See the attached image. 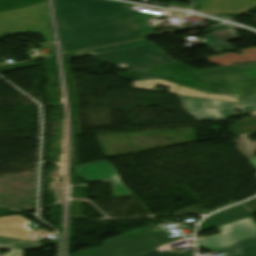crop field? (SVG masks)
Instances as JSON below:
<instances>
[{
	"label": "crop field",
	"mask_w": 256,
	"mask_h": 256,
	"mask_svg": "<svg viewBox=\"0 0 256 256\" xmlns=\"http://www.w3.org/2000/svg\"><path fill=\"white\" fill-rule=\"evenodd\" d=\"M192 72L199 75L194 76ZM118 75L130 80L160 78L206 94L232 95L238 99L256 96V62L205 70L173 63Z\"/></svg>",
	"instance_id": "ac0d7876"
},
{
	"label": "crop field",
	"mask_w": 256,
	"mask_h": 256,
	"mask_svg": "<svg viewBox=\"0 0 256 256\" xmlns=\"http://www.w3.org/2000/svg\"><path fill=\"white\" fill-rule=\"evenodd\" d=\"M233 27L225 26V25H217L215 27H207L203 33H208V32H214V31H219V30H225V29H231Z\"/></svg>",
	"instance_id": "a9b5d70f"
},
{
	"label": "crop field",
	"mask_w": 256,
	"mask_h": 256,
	"mask_svg": "<svg viewBox=\"0 0 256 256\" xmlns=\"http://www.w3.org/2000/svg\"><path fill=\"white\" fill-rule=\"evenodd\" d=\"M141 45L142 44L140 43V41H136V42L118 44L116 46H109V47L97 48V49H92V50H86L85 52L88 53L89 55H93V54L116 51V50H121V49H125V48L141 46Z\"/></svg>",
	"instance_id": "bc2a9ffb"
},
{
	"label": "crop field",
	"mask_w": 256,
	"mask_h": 256,
	"mask_svg": "<svg viewBox=\"0 0 256 256\" xmlns=\"http://www.w3.org/2000/svg\"><path fill=\"white\" fill-rule=\"evenodd\" d=\"M216 252H225L226 255L224 256H256V237L217 250Z\"/></svg>",
	"instance_id": "22f410ed"
},
{
	"label": "crop field",
	"mask_w": 256,
	"mask_h": 256,
	"mask_svg": "<svg viewBox=\"0 0 256 256\" xmlns=\"http://www.w3.org/2000/svg\"><path fill=\"white\" fill-rule=\"evenodd\" d=\"M239 108L242 114L256 111V97L249 100L241 101Z\"/></svg>",
	"instance_id": "dafd665d"
},
{
	"label": "crop field",
	"mask_w": 256,
	"mask_h": 256,
	"mask_svg": "<svg viewBox=\"0 0 256 256\" xmlns=\"http://www.w3.org/2000/svg\"><path fill=\"white\" fill-rule=\"evenodd\" d=\"M250 115L255 116V115H256V112H254V113H250Z\"/></svg>",
	"instance_id": "bd1437ed"
},
{
	"label": "crop field",
	"mask_w": 256,
	"mask_h": 256,
	"mask_svg": "<svg viewBox=\"0 0 256 256\" xmlns=\"http://www.w3.org/2000/svg\"><path fill=\"white\" fill-rule=\"evenodd\" d=\"M44 56H45V54H41V55L33 56L32 58L36 59V58H40V57H44Z\"/></svg>",
	"instance_id": "750c4746"
},
{
	"label": "crop field",
	"mask_w": 256,
	"mask_h": 256,
	"mask_svg": "<svg viewBox=\"0 0 256 256\" xmlns=\"http://www.w3.org/2000/svg\"><path fill=\"white\" fill-rule=\"evenodd\" d=\"M255 133L256 132L239 135V139L235 140L237 149L247 160L256 158V141H250L249 139V136Z\"/></svg>",
	"instance_id": "cbeb9de0"
},
{
	"label": "crop field",
	"mask_w": 256,
	"mask_h": 256,
	"mask_svg": "<svg viewBox=\"0 0 256 256\" xmlns=\"http://www.w3.org/2000/svg\"><path fill=\"white\" fill-rule=\"evenodd\" d=\"M163 230L149 231L148 229H138L123 236L103 242L104 246L86 250L70 256H137L160 246L158 243H170L183 238V236L165 237ZM147 236L150 239L145 240Z\"/></svg>",
	"instance_id": "34b2d1b8"
},
{
	"label": "crop field",
	"mask_w": 256,
	"mask_h": 256,
	"mask_svg": "<svg viewBox=\"0 0 256 256\" xmlns=\"http://www.w3.org/2000/svg\"><path fill=\"white\" fill-rule=\"evenodd\" d=\"M139 256H194V252L181 254L175 252H158L157 250L153 249Z\"/></svg>",
	"instance_id": "00972430"
},
{
	"label": "crop field",
	"mask_w": 256,
	"mask_h": 256,
	"mask_svg": "<svg viewBox=\"0 0 256 256\" xmlns=\"http://www.w3.org/2000/svg\"><path fill=\"white\" fill-rule=\"evenodd\" d=\"M235 125L231 127L235 135L256 131V117L239 120L234 122Z\"/></svg>",
	"instance_id": "733c2abd"
},
{
	"label": "crop field",
	"mask_w": 256,
	"mask_h": 256,
	"mask_svg": "<svg viewBox=\"0 0 256 256\" xmlns=\"http://www.w3.org/2000/svg\"><path fill=\"white\" fill-rule=\"evenodd\" d=\"M140 41L144 46L94 55L92 57L112 65L119 62L127 63L129 66L123 69L127 72L174 62L156 45H151L147 39Z\"/></svg>",
	"instance_id": "412701ff"
},
{
	"label": "crop field",
	"mask_w": 256,
	"mask_h": 256,
	"mask_svg": "<svg viewBox=\"0 0 256 256\" xmlns=\"http://www.w3.org/2000/svg\"><path fill=\"white\" fill-rule=\"evenodd\" d=\"M157 86L169 87L168 90L174 94H176L178 88L177 84L169 83L159 79L133 81V89L155 90Z\"/></svg>",
	"instance_id": "5142ce71"
},
{
	"label": "crop field",
	"mask_w": 256,
	"mask_h": 256,
	"mask_svg": "<svg viewBox=\"0 0 256 256\" xmlns=\"http://www.w3.org/2000/svg\"><path fill=\"white\" fill-rule=\"evenodd\" d=\"M3 64H9V63H3ZM3 64H0V65H3Z\"/></svg>",
	"instance_id": "1d83c4d3"
},
{
	"label": "crop field",
	"mask_w": 256,
	"mask_h": 256,
	"mask_svg": "<svg viewBox=\"0 0 256 256\" xmlns=\"http://www.w3.org/2000/svg\"><path fill=\"white\" fill-rule=\"evenodd\" d=\"M2 256H22V251L10 250L8 253H6Z\"/></svg>",
	"instance_id": "eef30255"
},
{
	"label": "crop field",
	"mask_w": 256,
	"mask_h": 256,
	"mask_svg": "<svg viewBox=\"0 0 256 256\" xmlns=\"http://www.w3.org/2000/svg\"><path fill=\"white\" fill-rule=\"evenodd\" d=\"M48 12L47 3L0 13V23Z\"/></svg>",
	"instance_id": "d1516ede"
},
{
	"label": "crop field",
	"mask_w": 256,
	"mask_h": 256,
	"mask_svg": "<svg viewBox=\"0 0 256 256\" xmlns=\"http://www.w3.org/2000/svg\"><path fill=\"white\" fill-rule=\"evenodd\" d=\"M129 6L104 1L57 12L62 52L138 38L136 34L152 31L147 19L156 15L131 12Z\"/></svg>",
	"instance_id": "8a807250"
},
{
	"label": "crop field",
	"mask_w": 256,
	"mask_h": 256,
	"mask_svg": "<svg viewBox=\"0 0 256 256\" xmlns=\"http://www.w3.org/2000/svg\"><path fill=\"white\" fill-rule=\"evenodd\" d=\"M184 109L199 121L220 120L235 116L236 104L178 96Z\"/></svg>",
	"instance_id": "dd49c442"
},
{
	"label": "crop field",
	"mask_w": 256,
	"mask_h": 256,
	"mask_svg": "<svg viewBox=\"0 0 256 256\" xmlns=\"http://www.w3.org/2000/svg\"><path fill=\"white\" fill-rule=\"evenodd\" d=\"M177 94L180 95H188V96H196V97H205V98H214V99H222L229 101H238L230 96H217V95H206L198 91L182 88L179 86Z\"/></svg>",
	"instance_id": "214f88e0"
},
{
	"label": "crop field",
	"mask_w": 256,
	"mask_h": 256,
	"mask_svg": "<svg viewBox=\"0 0 256 256\" xmlns=\"http://www.w3.org/2000/svg\"><path fill=\"white\" fill-rule=\"evenodd\" d=\"M218 229L222 233L205 239H197L198 247L207 250H217L242 239L256 236V224L252 221L251 216L222 225Z\"/></svg>",
	"instance_id": "f4fd0767"
},
{
	"label": "crop field",
	"mask_w": 256,
	"mask_h": 256,
	"mask_svg": "<svg viewBox=\"0 0 256 256\" xmlns=\"http://www.w3.org/2000/svg\"><path fill=\"white\" fill-rule=\"evenodd\" d=\"M46 234L33 231L29 241L40 242Z\"/></svg>",
	"instance_id": "4177f3b9"
},
{
	"label": "crop field",
	"mask_w": 256,
	"mask_h": 256,
	"mask_svg": "<svg viewBox=\"0 0 256 256\" xmlns=\"http://www.w3.org/2000/svg\"><path fill=\"white\" fill-rule=\"evenodd\" d=\"M255 5L256 0H202L200 10L213 13H241Z\"/></svg>",
	"instance_id": "5a996713"
},
{
	"label": "crop field",
	"mask_w": 256,
	"mask_h": 256,
	"mask_svg": "<svg viewBox=\"0 0 256 256\" xmlns=\"http://www.w3.org/2000/svg\"><path fill=\"white\" fill-rule=\"evenodd\" d=\"M64 57L65 59H74V58L86 57V55L82 52H79V53L64 55Z\"/></svg>",
	"instance_id": "730fd06b"
},
{
	"label": "crop field",
	"mask_w": 256,
	"mask_h": 256,
	"mask_svg": "<svg viewBox=\"0 0 256 256\" xmlns=\"http://www.w3.org/2000/svg\"><path fill=\"white\" fill-rule=\"evenodd\" d=\"M249 162L256 168V159L250 160ZM255 176H256V174H255Z\"/></svg>",
	"instance_id": "d3111659"
},
{
	"label": "crop field",
	"mask_w": 256,
	"mask_h": 256,
	"mask_svg": "<svg viewBox=\"0 0 256 256\" xmlns=\"http://www.w3.org/2000/svg\"><path fill=\"white\" fill-rule=\"evenodd\" d=\"M76 175L88 182L106 181L113 184L112 198L133 195L120 181L116 169L106 161L78 166Z\"/></svg>",
	"instance_id": "e52e79f7"
},
{
	"label": "crop field",
	"mask_w": 256,
	"mask_h": 256,
	"mask_svg": "<svg viewBox=\"0 0 256 256\" xmlns=\"http://www.w3.org/2000/svg\"><path fill=\"white\" fill-rule=\"evenodd\" d=\"M100 2V0H55L56 9L62 10L70 7H75L83 4Z\"/></svg>",
	"instance_id": "92a150f3"
},
{
	"label": "crop field",
	"mask_w": 256,
	"mask_h": 256,
	"mask_svg": "<svg viewBox=\"0 0 256 256\" xmlns=\"http://www.w3.org/2000/svg\"><path fill=\"white\" fill-rule=\"evenodd\" d=\"M250 215L252 214L242 205L236 206L235 208L231 207L203 220V222L199 226L198 232L207 230L209 228L222 225L231 221H235Z\"/></svg>",
	"instance_id": "3316defc"
},
{
	"label": "crop field",
	"mask_w": 256,
	"mask_h": 256,
	"mask_svg": "<svg viewBox=\"0 0 256 256\" xmlns=\"http://www.w3.org/2000/svg\"><path fill=\"white\" fill-rule=\"evenodd\" d=\"M45 0H0V11L32 5Z\"/></svg>",
	"instance_id": "4a817a6b"
},
{
	"label": "crop field",
	"mask_w": 256,
	"mask_h": 256,
	"mask_svg": "<svg viewBox=\"0 0 256 256\" xmlns=\"http://www.w3.org/2000/svg\"><path fill=\"white\" fill-rule=\"evenodd\" d=\"M204 38L211 43L208 47L215 53H222V51H234L235 48L226 43V41L239 39L234 30L209 34Z\"/></svg>",
	"instance_id": "28ad6ade"
},
{
	"label": "crop field",
	"mask_w": 256,
	"mask_h": 256,
	"mask_svg": "<svg viewBox=\"0 0 256 256\" xmlns=\"http://www.w3.org/2000/svg\"><path fill=\"white\" fill-rule=\"evenodd\" d=\"M44 245L46 244L26 242V241L17 240V239L0 237V249H9V248L32 249V248H36Z\"/></svg>",
	"instance_id": "d9b57169"
},
{
	"label": "crop field",
	"mask_w": 256,
	"mask_h": 256,
	"mask_svg": "<svg viewBox=\"0 0 256 256\" xmlns=\"http://www.w3.org/2000/svg\"><path fill=\"white\" fill-rule=\"evenodd\" d=\"M48 13L25 18L19 21L0 24V36L6 33L21 34L26 32H39L47 42L38 44L39 47L53 45Z\"/></svg>",
	"instance_id": "d8731c3e"
},
{
	"label": "crop field",
	"mask_w": 256,
	"mask_h": 256,
	"mask_svg": "<svg viewBox=\"0 0 256 256\" xmlns=\"http://www.w3.org/2000/svg\"><path fill=\"white\" fill-rule=\"evenodd\" d=\"M116 67H118V68H120V69H122V68H124V67H126V66H128L127 64H124V63H119V64H117V65H115Z\"/></svg>",
	"instance_id": "ae1a2a85"
}]
</instances>
